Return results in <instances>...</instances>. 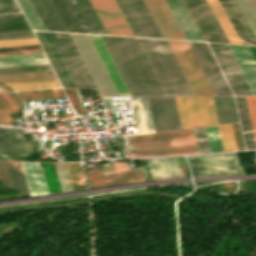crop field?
<instances>
[{
  "label": "crop field",
  "mask_w": 256,
  "mask_h": 256,
  "mask_svg": "<svg viewBox=\"0 0 256 256\" xmlns=\"http://www.w3.org/2000/svg\"><path fill=\"white\" fill-rule=\"evenodd\" d=\"M194 95H213L187 42L167 40Z\"/></svg>",
  "instance_id": "7"
},
{
  "label": "crop field",
  "mask_w": 256,
  "mask_h": 256,
  "mask_svg": "<svg viewBox=\"0 0 256 256\" xmlns=\"http://www.w3.org/2000/svg\"><path fill=\"white\" fill-rule=\"evenodd\" d=\"M37 52H43V51H42V49H36V50L3 52V53H0V56H1V55H13V54H25V53H37Z\"/></svg>",
  "instance_id": "49"
},
{
  "label": "crop field",
  "mask_w": 256,
  "mask_h": 256,
  "mask_svg": "<svg viewBox=\"0 0 256 256\" xmlns=\"http://www.w3.org/2000/svg\"><path fill=\"white\" fill-rule=\"evenodd\" d=\"M56 79L52 71L0 76L1 83Z\"/></svg>",
  "instance_id": "28"
},
{
  "label": "crop field",
  "mask_w": 256,
  "mask_h": 256,
  "mask_svg": "<svg viewBox=\"0 0 256 256\" xmlns=\"http://www.w3.org/2000/svg\"><path fill=\"white\" fill-rule=\"evenodd\" d=\"M242 44L256 45V41L234 0H219Z\"/></svg>",
  "instance_id": "18"
},
{
  "label": "crop field",
  "mask_w": 256,
  "mask_h": 256,
  "mask_svg": "<svg viewBox=\"0 0 256 256\" xmlns=\"http://www.w3.org/2000/svg\"><path fill=\"white\" fill-rule=\"evenodd\" d=\"M186 40L204 41L183 0H164Z\"/></svg>",
  "instance_id": "14"
},
{
  "label": "crop field",
  "mask_w": 256,
  "mask_h": 256,
  "mask_svg": "<svg viewBox=\"0 0 256 256\" xmlns=\"http://www.w3.org/2000/svg\"><path fill=\"white\" fill-rule=\"evenodd\" d=\"M231 175L243 174L234 154L222 155Z\"/></svg>",
  "instance_id": "41"
},
{
  "label": "crop field",
  "mask_w": 256,
  "mask_h": 256,
  "mask_svg": "<svg viewBox=\"0 0 256 256\" xmlns=\"http://www.w3.org/2000/svg\"><path fill=\"white\" fill-rule=\"evenodd\" d=\"M137 40L165 95H193L166 40Z\"/></svg>",
  "instance_id": "2"
},
{
  "label": "crop field",
  "mask_w": 256,
  "mask_h": 256,
  "mask_svg": "<svg viewBox=\"0 0 256 256\" xmlns=\"http://www.w3.org/2000/svg\"><path fill=\"white\" fill-rule=\"evenodd\" d=\"M101 96H117L87 35L70 34Z\"/></svg>",
  "instance_id": "6"
},
{
  "label": "crop field",
  "mask_w": 256,
  "mask_h": 256,
  "mask_svg": "<svg viewBox=\"0 0 256 256\" xmlns=\"http://www.w3.org/2000/svg\"><path fill=\"white\" fill-rule=\"evenodd\" d=\"M63 87L75 88L48 33L34 31Z\"/></svg>",
  "instance_id": "17"
},
{
  "label": "crop field",
  "mask_w": 256,
  "mask_h": 256,
  "mask_svg": "<svg viewBox=\"0 0 256 256\" xmlns=\"http://www.w3.org/2000/svg\"><path fill=\"white\" fill-rule=\"evenodd\" d=\"M29 194L32 196L45 195L47 189L39 163L21 162Z\"/></svg>",
  "instance_id": "20"
},
{
  "label": "crop field",
  "mask_w": 256,
  "mask_h": 256,
  "mask_svg": "<svg viewBox=\"0 0 256 256\" xmlns=\"http://www.w3.org/2000/svg\"><path fill=\"white\" fill-rule=\"evenodd\" d=\"M21 12L15 0H0V13Z\"/></svg>",
  "instance_id": "43"
},
{
  "label": "crop field",
  "mask_w": 256,
  "mask_h": 256,
  "mask_svg": "<svg viewBox=\"0 0 256 256\" xmlns=\"http://www.w3.org/2000/svg\"><path fill=\"white\" fill-rule=\"evenodd\" d=\"M198 153L210 152L204 127L193 129Z\"/></svg>",
  "instance_id": "38"
},
{
  "label": "crop field",
  "mask_w": 256,
  "mask_h": 256,
  "mask_svg": "<svg viewBox=\"0 0 256 256\" xmlns=\"http://www.w3.org/2000/svg\"><path fill=\"white\" fill-rule=\"evenodd\" d=\"M155 132L180 128L174 97H147Z\"/></svg>",
  "instance_id": "9"
},
{
  "label": "crop field",
  "mask_w": 256,
  "mask_h": 256,
  "mask_svg": "<svg viewBox=\"0 0 256 256\" xmlns=\"http://www.w3.org/2000/svg\"><path fill=\"white\" fill-rule=\"evenodd\" d=\"M116 176L105 177L108 186L144 181L141 169L129 170L126 163L113 162Z\"/></svg>",
  "instance_id": "21"
},
{
  "label": "crop field",
  "mask_w": 256,
  "mask_h": 256,
  "mask_svg": "<svg viewBox=\"0 0 256 256\" xmlns=\"http://www.w3.org/2000/svg\"><path fill=\"white\" fill-rule=\"evenodd\" d=\"M30 29L27 22L0 24V32Z\"/></svg>",
  "instance_id": "45"
},
{
  "label": "crop field",
  "mask_w": 256,
  "mask_h": 256,
  "mask_svg": "<svg viewBox=\"0 0 256 256\" xmlns=\"http://www.w3.org/2000/svg\"><path fill=\"white\" fill-rule=\"evenodd\" d=\"M42 63H48L43 53L0 57V67Z\"/></svg>",
  "instance_id": "27"
},
{
  "label": "crop field",
  "mask_w": 256,
  "mask_h": 256,
  "mask_svg": "<svg viewBox=\"0 0 256 256\" xmlns=\"http://www.w3.org/2000/svg\"><path fill=\"white\" fill-rule=\"evenodd\" d=\"M13 90L60 87L57 80L6 84Z\"/></svg>",
  "instance_id": "34"
},
{
  "label": "crop field",
  "mask_w": 256,
  "mask_h": 256,
  "mask_svg": "<svg viewBox=\"0 0 256 256\" xmlns=\"http://www.w3.org/2000/svg\"><path fill=\"white\" fill-rule=\"evenodd\" d=\"M246 149L256 148L245 97H235Z\"/></svg>",
  "instance_id": "22"
},
{
  "label": "crop field",
  "mask_w": 256,
  "mask_h": 256,
  "mask_svg": "<svg viewBox=\"0 0 256 256\" xmlns=\"http://www.w3.org/2000/svg\"><path fill=\"white\" fill-rule=\"evenodd\" d=\"M21 21H26L23 14L21 13L0 15V23L21 22Z\"/></svg>",
  "instance_id": "46"
},
{
  "label": "crop field",
  "mask_w": 256,
  "mask_h": 256,
  "mask_svg": "<svg viewBox=\"0 0 256 256\" xmlns=\"http://www.w3.org/2000/svg\"><path fill=\"white\" fill-rule=\"evenodd\" d=\"M72 190L86 188L80 163H64Z\"/></svg>",
  "instance_id": "29"
},
{
  "label": "crop field",
  "mask_w": 256,
  "mask_h": 256,
  "mask_svg": "<svg viewBox=\"0 0 256 256\" xmlns=\"http://www.w3.org/2000/svg\"><path fill=\"white\" fill-rule=\"evenodd\" d=\"M233 94L252 95L227 45L208 43ZM230 78V79H228Z\"/></svg>",
  "instance_id": "8"
},
{
  "label": "crop field",
  "mask_w": 256,
  "mask_h": 256,
  "mask_svg": "<svg viewBox=\"0 0 256 256\" xmlns=\"http://www.w3.org/2000/svg\"><path fill=\"white\" fill-rule=\"evenodd\" d=\"M119 96H130L101 36L89 35Z\"/></svg>",
  "instance_id": "15"
},
{
  "label": "crop field",
  "mask_w": 256,
  "mask_h": 256,
  "mask_svg": "<svg viewBox=\"0 0 256 256\" xmlns=\"http://www.w3.org/2000/svg\"><path fill=\"white\" fill-rule=\"evenodd\" d=\"M51 70L49 64L0 68V75Z\"/></svg>",
  "instance_id": "36"
},
{
  "label": "crop field",
  "mask_w": 256,
  "mask_h": 256,
  "mask_svg": "<svg viewBox=\"0 0 256 256\" xmlns=\"http://www.w3.org/2000/svg\"><path fill=\"white\" fill-rule=\"evenodd\" d=\"M218 127L224 151L237 150L231 124Z\"/></svg>",
  "instance_id": "35"
},
{
  "label": "crop field",
  "mask_w": 256,
  "mask_h": 256,
  "mask_svg": "<svg viewBox=\"0 0 256 256\" xmlns=\"http://www.w3.org/2000/svg\"><path fill=\"white\" fill-rule=\"evenodd\" d=\"M55 165V169H56V173H57V177H59V182H60V186L62 187V191H67V190H71L69 183H68V179H67V175L65 172V168H64V164L63 163H54Z\"/></svg>",
  "instance_id": "39"
},
{
  "label": "crop field",
  "mask_w": 256,
  "mask_h": 256,
  "mask_svg": "<svg viewBox=\"0 0 256 256\" xmlns=\"http://www.w3.org/2000/svg\"><path fill=\"white\" fill-rule=\"evenodd\" d=\"M235 1L256 37V7L254 3L252 2V0Z\"/></svg>",
  "instance_id": "32"
},
{
  "label": "crop field",
  "mask_w": 256,
  "mask_h": 256,
  "mask_svg": "<svg viewBox=\"0 0 256 256\" xmlns=\"http://www.w3.org/2000/svg\"><path fill=\"white\" fill-rule=\"evenodd\" d=\"M154 179L183 177L175 158L144 159Z\"/></svg>",
  "instance_id": "19"
},
{
  "label": "crop field",
  "mask_w": 256,
  "mask_h": 256,
  "mask_svg": "<svg viewBox=\"0 0 256 256\" xmlns=\"http://www.w3.org/2000/svg\"><path fill=\"white\" fill-rule=\"evenodd\" d=\"M211 152L223 151L217 126L205 127Z\"/></svg>",
  "instance_id": "37"
},
{
  "label": "crop field",
  "mask_w": 256,
  "mask_h": 256,
  "mask_svg": "<svg viewBox=\"0 0 256 256\" xmlns=\"http://www.w3.org/2000/svg\"><path fill=\"white\" fill-rule=\"evenodd\" d=\"M207 176L230 175L221 155L198 156Z\"/></svg>",
  "instance_id": "26"
},
{
  "label": "crop field",
  "mask_w": 256,
  "mask_h": 256,
  "mask_svg": "<svg viewBox=\"0 0 256 256\" xmlns=\"http://www.w3.org/2000/svg\"><path fill=\"white\" fill-rule=\"evenodd\" d=\"M181 128L218 124L212 97H175Z\"/></svg>",
  "instance_id": "4"
},
{
  "label": "crop field",
  "mask_w": 256,
  "mask_h": 256,
  "mask_svg": "<svg viewBox=\"0 0 256 256\" xmlns=\"http://www.w3.org/2000/svg\"><path fill=\"white\" fill-rule=\"evenodd\" d=\"M219 124L238 122L233 97H213Z\"/></svg>",
  "instance_id": "23"
},
{
  "label": "crop field",
  "mask_w": 256,
  "mask_h": 256,
  "mask_svg": "<svg viewBox=\"0 0 256 256\" xmlns=\"http://www.w3.org/2000/svg\"><path fill=\"white\" fill-rule=\"evenodd\" d=\"M256 141V97H246Z\"/></svg>",
  "instance_id": "42"
},
{
  "label": "crop field",
  "mask_w": 256,
  "mask_h": 256,
  "mask_svg": "<svg viewBox=\"0 0 256 256\" xmlns=\"http://www.w3.org/2000/svg\"><path fill=\"white\" fill-rule=\"evenodd\" d=\"M254 163H256V158H255V160H254Z\"/></svg>",
  "instance_id": "53"
},
{
  "label": "crop field",
  "mask_w": 256,
  "mask_h": 256,
  "mask_svg": "<svg viewBox=\"0 0 256 256\" xmlns=\"http://www.w3.org/2000/svg\"><path fill=\"white\" fill-rule=\"evenodd\" d=\"M211 8L214 16L216 17L219 25L221 26L224 34L226 35L229 43L241 44L238 36L236 35L233 27L231 26L228 18L226 17L223 9L221 8L218 0H206Z\"/></svg>",
  "instance_id": "24"
},
{
  "label": "crop field",
  "mask_w": 256,
  "mask_h": 256,
  "mask_svg": "<svg viewBox=\"0 0 256 256\" xmlns=\"http://www.w3.org/2000/svg\"><path fill=\"white\" fill-rule=\"evenodd\" d=\"M196 176L205 175L197 156L188 157Z\"/></svg>",
  "instance_id": "48"
},
{
  "label": "crop field",
  "mask_w": 256,
  "mask_h": 256,
  "mask_svg": "<svg viewBox=\"0 0 256 256\" xmlns=\"http://www.w3.org/2000/svg\"><path fill=\"white\" fill-rule=\"evenodd\" d=\"M102 38L131 96L163 95L135 38Z\"/></svg>",
  "instance_id": "1"
},
{
  "label": "crop field",
  "mask_w": 256,
  "mask_h": 256,
  "mask_svg": "<svg viewBox=\"0 0 256 256\" xmlns=\"http://www.w3.org/2000/svg\"><path fill=\"white\" fill-rule=\"evenodd\" d=\"M17 1L21 6L25 16L27 17L32 29L45 30L30 1L29 0H17Z\"/></svg>",
  "instance_id": "33"
},
{
  "label": "crop field",
  "mask_w": 256,
  "mask_h": 256,
  "mask_svg": "<svg viewBox=\"0 0 256 256\" xmlns=\"http://www.w3.org/2000/svg\"><path fill=\"white\" fill-rule=\"evenodd\" d=\"M108 35L133 36L114 0H89Z\"/></svg>",
  "instance_id": "11"
},
{
  "label": "crop field",
  "mask_w": 256,
  "mask_h": 256,
  "mask_svg": "<svg viewBox=\"0 0 256 256\" xmlns=\"http://www.w3.org/2000/svg\"><path fill=\"white\" fill-rule=\"evenodd\" d=\"M30 37H35L32 30L0 33V40L30 38Z\"/></svg>",
  "instance_id": "40"
},
{
  "label": "crop field",
  "mask_w": 256,
  "mask_h": 256,
  "mask_svg": "<svg viewBox=\"0 0 256 256\" xmlns=\"http://www.w3.org/2000/svg\"><path fill=\"white\" fill-rule=\"evenodd\" d=\"M20 109V101L12 92L0 94V124L12 126L11 111Z\"/></svg>",
  "instance_id": "25"
},
{
  "label": "crop field",
  "mask_w": 256,
  "mask_h": 256,
  "mask_svg": "<svg viewBox=\"0 0 256 256\" xmlns=\"http://www.w3.org/2000/svg\"><path fill=\"white\" fill-rule=\"evenodd\" d=\"M183 131L184 133H182ZM128 138L129 144H132L134 157L197 153L192 129ZM132 148L130 145L131 154Z\"/></svg>",
  "instance_id": "3"
},
{
  "label": "crop field",
  "mask_w": 256,
  "mask_h": 256,
  "mask_svg": "<svg viewBox=\"0 0 256 256\" xmlns=\"http://www.w3.org/2000/svg\"><path fill=\"white\" fill-rule=\"evenodd\" d=\"M165 39L185 40L163 0H144Z\"/></svg>",
  "instance_id": "12"
},
{
  "label": "crop field",
  "mask_w": 256,
  "mask_h": 256,
  "mask_svg": "<svg viewBox=\"0 0 256 256\" xmlns=\"http://www.w3.org/2000/svg\"><path fill=\"white\" fill-rule=\"evenodd\" d=\"M38 44L35 38L0 41V47Z\"/></svg>",
  "instance_id": "44"
},
{
  "label": "crop field",
  "mask_w": 256,
  "mask_h": 256,
  "mask_svg": "<svg viewBox=\"0 0 256 256\" xmlns=\"http://www.w3.org/2000/svg\"><path fill=\"white\" fill-rule=\"evenodd\" d=\"M253 95H256V62L248 46L228 45Z\"/></svg>",
  "instance_id": "16"
},
{
  "label": "crop field",
  "mask_w": 256,
  "mask_h": 256,
  "mask_svg": "<svg viewBox=\"0 0 256 256\" xmlns=\"http://www.w3.org/2000/svg\"><path fill=\"white\" fill-rule=\"evenodd\" d=\"M249 48H250V50H251V52H252V54H253V56L256 60V46H249Z\"/></svg>",
  "instance_id": "50"
},
{
  "label": "crop field",
  "mask_w": 256,
  "mask_h": 256,
  "mask_svg": "<svg viewBox=\"0 0 256 256\" xmlns=\"http://www.w3.org/2000/svg\"><path fill=\"white\" fill-rule=\"evenodd\" d=\"M13 189L28 194L20 162L6 161ZM29 195V194H28Z\"/></svg>",
  "instance_id": "30"
},
{
  "label": "crop field",
  "mask_w": 256,
  "mask_h": 256,
  "mask_svg": "<svg viewBox=\"0 0 256 256\" xmlns=\"http://www.w3.org/2000/svg\"><path fill=\"white\" fill-rule=\"evenodd\" d=\"M253 1H254L255 5H256V0H253Z\"/></svg>",
  "instance_id": "52"
},
{
  "label": "crop field",
  "mask_w": 256,
  "mask_h": 256,
  "mask_svg": "<svg viewBox=\"0 0 256 256\" xmlns=\"http://www.w3.org/2000/svg\"><path fill=\"white\" fill-rule=\"evenodd\" d=\"M0 182L11 187L7 167L5 161H0ZM12 188V187H11Z\"/></svg>",
  "instance_id": "47"
},
{
  "label": "crop field",
  "mask_w": 256,
  "mask_h": 256,
  "mask_svg": "<svg viewBox=\"0 0 256 256\" xmlns=\"http://www.w3.org/2000/svg\"><path fill=\"white\" fill-rule=\"evenodd\" d=\"M215 95H232L207 44L189 42ZM220 81L219 83L217 81Z\"/></svg>",
  "instance_id": "10"
},
{
  "label": "crop field",
  "mask_w": 256,
  "mask_h": 256,
  "mask_svg": "<svg viewBox=\"0 0 256 256\" xmlns=\"http://www.w3.org/2000/svg\"><path fill=\"white\" fill-rule=\"evenodd\" d=\"M134 36L164 39L143 0H115Z\"/></svg>",
  "instance_id": "5"
},
{
  "label": "crop field",
  "mask_w": 256,
  "mask_h": 256,
  "mask_svg": "<svg viewBox=\"0 0 256 256\" xmlns=\"http://www.w3.org/2000/svg\"><path fill=\"white\" fill-rule=\"evenodd\" d=\"M23 100L65 97L61 88L17 92Z\"/></svg>",
  "instance_id": "31"
},
{
  "label": "crop field",
  "mask_w": 256,
  "mask_h": 256,
  "mask_svg": "<svg viewBox=\"0 0 256 256\" xmlns=\"http://www.w3.org/2000/svg\"><path fill=\"white\" fill-rule=\"evenodd\" d=\"M8 90L0 86V93L1 92H7Z\"/></svg>",
  "instance_id": "51"
},
{
  "label": "crop field",
  "mask_w": 256,
  "mask_h": 256,
  "mask_svg": "<svg viewBox=\"0 0 256 256\" xmlns=\"http://www.w3.org/2000/svg\"><path fill=\"white\" fill-rule=\"evenodd\" d=\"M34 147L18 131V129L0 127V156L18 157L28 155Z\"/></svg>",
  "instance_id": "13"
}]
</instances>
